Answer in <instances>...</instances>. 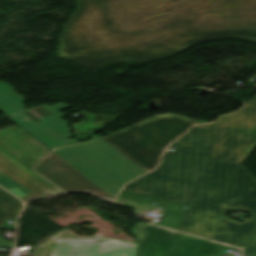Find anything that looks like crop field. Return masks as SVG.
Masks as SVG:
<instances>
[{"label": "crop field", "mask_w": 256, "mask_h": 256, "mask_svg": "<svg viewBox=\"0 0 256 256\" xmlns=\"http://www.w3.org/2000/svg\"><path fill=\"white\" fill-rule=\"evenodd\" d=\"M139 235L136 256H217L224 245L139 223L132 229Z\"/></svg>", "instance_id": "obj_5"}, {"label": "crop field", "mask_w": 256, "mask_h": 256, "mask_svg": "<svg viewBox=\"0 0 256 256\" xmlns=\"http://www.w3.org/2000/svg\"><path fill=\"white\" fill-rule=\"evenodd\" d=\"M137 245L103 237L79 238L64 230L38 246L33 256H135Z\"/></svg>", "instance_id": "obj_6"}, {"label": "crop field", "mask_w": 256, "mask_h": 256, "mask_svg": "<svg viewBox=\"0 0 256 256\" xmlns=\"http://www.w3.org/2000/svg\"><path fill=\"white\" fill-rule=\"evenodd\" d=\"M0 185L25 202L61 192L8 155L0 151Z\"/></svg>", "instance_id": "obj_7"}, {"label": "crop field", "mask_w": 256, "mask_h": 256, "mask_svg": "<svg viewBox=\"0 0 256 256\" xmlns=\"http://www.w3.org/2000/svg\"><path fill=\"white\" fill-rule=\"evenodd\" d=\"M246 108L194 126L170 145L157 169L123 189L189 205L212 158L242 164L256 148V96Z\"/></svg>", "instance_id": "obj_1"}, {"label": "crop field", "mask_w": 256, "mask_h": 256, "mask_svg": "<svg viewBox=\"0 0 256 256\" xmlns=\"http://www.w3.org/2000/svg\"><path fill=\"white\" fill-rule=\"evenodd\" d=\"M21 208L19 200L0 189V226L4 220L16 219Z\"/></svg>", "instance_id": "obj_9"}, {"label": "crop field", "mask_w": 256, "mask_h": 256, "mask_svg": "<svg viewBox=\"0 0 256 256\" xmlns=\"http://www.w3.org/2000/svg\"><path fill=\"white\" fill-rule=\"evenodd\" d=\"M244 256H256V231L244 236Z\"/></svg>", "instance_id": "obj_10"}, {"label": "crop field", "mask_w": 256, "mask_h": 256, "mask_svg": "<svg viewBox=\"0 0 256 256\" xmlns=\"http://www.w3.org/2000/svg\"><path fill=\"white\" fill-rule=\"evenodd\" d=\"M195 123L175 115L153 117L103 139L147 172L156 167L164 148Z\"/></svg>", "instance_id": "obj_4"}, {"label": "crop field", "mask_w": 256, "mask_h": 256, "mask_svg": "<svg viewBox=\"0 0 256 256\" xmlns=\"http://www.w3.org/2000/svg\"><path fill=\"white\" fill-rule=\"evenodd\" d=\"M12 246H13L12 242L0 240V248H12Z\"/></svg>", "instance_id": "obj_11"}, {"label": "crop field", "mask_w": 256, "mask_h": 256, "mask_svg": "<svg viewBox=\"0 0 256 256\" xmlns=\"http://www.w3.org/2000/svg\"><path fill=\"white\" fill-rule=\"evenodd\" d=\"M227 209L251 217L236 223L223 214ZM179 230L243 249V235L256 230V178L243 165L213 159Z\"/></svg>", "instance_id": "obj_2"}, {"label": "crop field", "mask_w": 256, "mask_h": 256, "mask_svg": "<svg viewBox=\"0 0 256 256\" xmlns=\"http://www.w3.org/2000/svg\"><path fill=\"white\" fill-rule=\"evenodd\" d=\"M34 169L65 191H86L109 202L114 200L53 152Z\"/></svg>", "instance_id": "obj_8"}, {"label": "crop field", "mask_w": 256, "mask_h": 256, "mask_svg": "<svg viewBox=\"0 0 256 256\" xmlns=\"http://www.w3.org/2000/svg\"><path fill=\"white\" fill-rule=\"evenodd\" d=\"M53 151L114 199L127 182L145 173L100 136Z\"/></svg>", "instance_id": "obj_3"}]
</instances>
